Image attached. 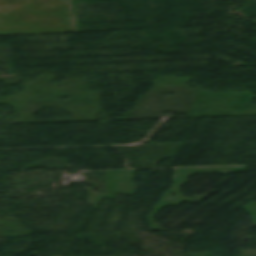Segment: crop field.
<instances>
[{
	"label": "crop field",
	"mask_w": 256,
	"mask_h": 256,
	"mask_svg": "<svg viewBox=\"0 0 256 256\" xmlns=\"http://www.w3.org/2000/svg\"><path fill=\"white\" fill-rule=\"evenodd\" d=\"M76 32L70 0H0V36Z\"/></svg>",
	"instance_id": "obj_1"
}]
</instances>
